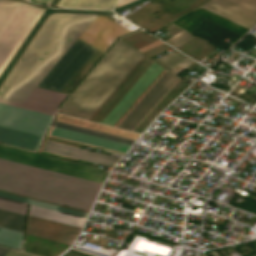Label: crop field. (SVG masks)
<instances>
[{"mask_svg":"<svg viewBox=\"0 0 256 256\" xmlns=\"http://www.w3.org/2000/svg\"><path fill=\"white\" fill-rule=\"evenodd\" d=\"M162 70L153 62L101 123L113 126Z\"/></svg>","mask_w":256,"mask_h":256,"instance_id":"crop-field-11","label":"crop field"},{"mask_svg":"<svg viewBox=\"0 0 256 256\" xmlns=\"http://www.w3.org/2000/svg\"><path fill=\"white\" fill-rule=\"evenodd\" d=\"M53 125L62 127V128H66V129H70V130H74V131H78V132H82V133H86V134H90V135H94V136H98V137H102V138H106V139H110V140H114V141H118V142H122V143H126V144H130V145H132L134 142L133 140H129V139L93 131V130H89V129H85V128H81V127H77V126H73V125H69V124H65V123H61V122H57V121H55Z\"/></svg>","mask_w":256,"mask_h":256,"instance_id":"crop-field-22","label":"crop field"},{"mask_svg":"<svg viewBox=\"0 0 256 256\" xmlns=\"http://www.w3.org/2000/svg\"><path fill=\"white\" fill-rule=\"evenodd\" d=\"M178 79L166 70L117 127L132 131Z\"/></svg>","mask_w":256,"mask_h":256,"instance_id":"crop-field-8","label":"crop field"},{"mask_svg":"<svg viewBox=\"0 0 256 256\" xmlns=\"http://www.w3.org/2000/svg\"><path fill=\"white\" fill-rule=\"evenodd\" d=\"M43 12L41 8L0 0V74Z\"/></svg>","mask_w":256,"mask_h":256,"instance_id":"crop-field-4","label":"crop field"},{"mask_svg":"<svg viewBox=\"0 0 256 256\" xmlns=\"http://www.w3.org/2000/svg\"><path fill=\"white\" fill-rule=\"evenodd\" d=\"M102 184L0 159V189L89 211Z\"/></svg>","mask_w":256,"mask_h":256,"instance_id":"crop-field-2","label":"crop field"},{"mask_svg":"<svg viewBox=\"0 0 256 256\" xmlns=\"http://www.w3.org/2000/svg\"><path fill=\"white\" fill-rule=\"evenodd\" d=\"M23 233L0 227V245L21 250Z\"/></svg>","mask_w":256,"mask_h":256,"instance_id":"crop-field-20","label":"crop field"},{"mask_svg":"<svg viewBox=\"0 0 256 256\" xmlns=\"http://www.w3.org/2000/svg\"><path fill=\"white\" fill-rule=\"evenodd\" d=\"M152 61L148 64V66L140 73V75L132 82V84L125 90V92L117 99V101L109 108V110L101 117L98 121L100 123L102 119L109 113V111L116 105V103L123 97V95L129 90V88L136 82V80L143 74V72L150 66Z\"/></svg>","mask_w":256,"mask_h":256,"instance_id":"crop-field-25","label":"crop field"},{"mask_svg":"<svg viewBox=\"0 0 256 256\" xmlns=\"http://www.w3.org/2000/svg\"><path fill=\"white\" fill-rule=\"evenodd\" d=\"M52 117L0 104V142L37 150Z\"/></svg>","mask_w":256,"mask_h":256,"instance_id":"crop-field-5","label":"crop field"},{"mask_svg":"<svg viewBox=\"0 0 256 256\" xmlns=\"http://www.w3.org/2000/svg\"><path fill=\"white\" fill-rule=\"evenodd\" d=\"M27 204L0 198V209L25 215Z\"/></svg>","mask_w":256,"mask_h":256,"instance_id":"crop-field-23","label":"crop field"},{"mask_svg":"<svg viewBox=\"0 0 256 256\" xmlns=\"http://www.w3.org/2000/svg\"><path fill=\"white\" fill-rule=\"evenodd\" d=\"M0 196L5 197V198H9V199H13V200H17V201H21V202H25V203H28V204H32V205H36V206H40V207H44V208H48V209H52V210H56V211H60V212L80 216V217H84V218H86L87 215H88L86 213H82V212H78V211H74V210H70V209H66V208H62V207H58V206H54V205H50V204L30 200V199H26V198L14 196V195L2 193V192H0Z\"/></svg>","mask_w":256,"mask_h":256,"instance_id":"crop-field-21","label":"crop field"},{"mask_svg":"<svg viewBox=\"0 0 256 256\" xmlns=\"http://www.w3.org/2000/svg\"><path fill=\"white\" fill-rule=\"evenodd\" d=\"M43 151L112 167L118 158L47 141Z\"/></svg>","mask_w":256,"mask_h":256,"instance_id":"crop-field-14","label":"crop field"},{"mask_svg":"<svg viewBox=\"0 0 256 256\" xmlns=\"http://www.w3.org/2000/svg\"><path fill=\"white\" fill-rule=\"evenodd\" d=\"M6 256H31L30 254L10 250Z\"/></svg>","mask_w":256,"mask_h":256,"instance_id":"crop-field-26","label":"crop field"},{"mask_svg":"<svg viewBox=\"0 0 256 256\" xmlns=\"http://www.w3.org/2000/svg\"><path fill=\"white\" fill-rule=\"evenodd\" d=\"M66 94L36 88L22 105L0 100V103L48 114L54 115L58 105L66 97Z\"/></svg>","mask_w":256,"mask_h":256,"instance_id":"crop-field-13","label":"crop field"},{"mask_svg":"<svg viewBox=\"0 0 256 256\" xmlns=\"http://www.w3.org/2000/svg\"><path fill=\"white\" fill-rule=\"evenodd\" d=\"M202 7L248 29L256 23V4L247 0H211Z\"/></svg>","mask_w":256,"mask_h":256,"instance_id":"crop-field-9","label":"crop field"},{"mask_svg":"<svg viewBox=\"0 0 256 256\" xmlns=\"http://www.w3.org/2000/svg\"><path fill=\"white\" fill-rule=\"evenodd\" d=\"M134 1H136V0H119L118 4L116 5V8L126 5L128 3L134 2Z\"/></svg>","mask_w":256,"mask_h":256,"instance_id":"crop-field-27","label":"crop field"},{"mask_svg":"<svg viewBox=\"0 0 256 256\" xmlns=\"http://www.w3.org/2000/svg\"><path fill=\"white\" fill-rule=\"evenodd\" d=\"M32 256H34V255H32Z\"/></svg>","mask_w":256,"mask_h":256,"instance_id":"crop-field-31","label":"crop field"},{"mask_svg":"<svg viewBox=\"0 0 256 256\" xmlns=\"http://www.w3.org/2000/svg\"><path fill=\"white\" fill-rule=\"evenodd\" d=\"M29 215L79 227V228L82 227L83 222L85 220L84 218H80V217H76V216H72V215H68V214H64V213H60V212L32 206V205L30 207Z\"/></svg>","mask_w":256,"mask_h":256,"instance_id":"crop-field-16","label":"crop field"},{"mask_svg":"<svg viewBox=\"0 0 256 256\" xmlns=\"http://www.w3.org/2000/svg\"><path fill=\"white\" fill-rule=\"evenodd\" d=\"M95 51L77 40L39 85L62 91Z\"/></svg>","mask_w":256,"mask_h":256,"instance_id":"crop-field-7","label":"crop field"},{"mask_svg":"<svg viewBox=\"0 0 256 256\" xmlns=\"http://www.w3.org/2000/svg\"><path fill=\"white\" fill-rule=\"evenodd\" d=\"M25 216L0 210V226L23 232Z\"/></svg>","mask_w":256,"mask_h":256,"instance_id":"crop-field-19","label":"crop field"},{"mask_svg":"<svg viewBox=\"0 0 256 256\" xmlns=\"http://www.w3.org/2000/svg\"><path fill=\"white\" fill-rule=\"evenodd\" d=\"M193 36H191L188 32L186 31H181L180 33L176 34L172 38L168 39L167 42L168 44L172 45L173 47H178L179 45L183 44L187 40L191 39Z\"/></svg>","mask_w":256,"mask_h":256,"instance_id":"crop-field-24","label":"crop field"},{"mask_svg":"<svg viewBox=\"0 0 256 256\" xmlns=\"http://www.w3.org/2000/svg\"><path fill=\"white\" fill-rule=\"evenodd\" d=\"M98 15H49L0 87V98L22 104Z\"/></svg>","mask_w":256,"mask_h":256,"instance_id":"crop-field-1","label":"crop field"},{"mask_svg":"<svg viewBox=\"0 0 256 256\" xmlns=\"http://www.w3.org/2000/svg\"><path fill=\"white\" fill-rule=\"evenodd\" d=\"M250 1H252V2L256 3V0H250Z\"/></svg>","mask_w":256,"mask_h":256,"instance_id":"crop-field-30","label":"crop field"},{"mask_svg":"<svg viewBox=\"0 0 256 256\" xmlns=\"http://www.w3.org/2000/svg\"><path fill=\"white\" fill-rule=\"evenodd\" d=\"M154 61L161 64L175 75L193 63V61L175 51L168 53Z\"/></svg>","mask_w":256,"mask_h":256,"instance_id":"crop-field-17","label":"crop field"},{"mask_svg":"<svg viewBox=\"0 0 256 256\" xmlns=\"http://www.w3.org/2000/svg\"><path fill=\"white\" fill-rule=\"evenodd\" d=\"M0 158L102 183L104 170L1 145Z\"/></svg>","mask_w":256,"mask_h":256,"instance_id":"crop-field-6","label":"crop field"},{"mask_svg":"<svg viewBox=\"0 0 256 256\" xmlns=\"http://www.w3.org/2000/svg\"><path fill=\"white\" fill-rule=\"evenodd\" d=\"M117 0H60L57 7L111 9Z\"/></svg>","mask_w":256,"mask_h":256,"instance_id":"crop-field-18","label":"crop field"},{"mask_svg":"<svg viewBox=\"0 0 256 256\" xmlns=\"http://www.w3.org/2000/svg\"><path fill=\"white\" fill-rule=\"evenodd\" d=\"M128 32L108 18L98 16L79 39L104 53L117 37Z\"/></svg>","mask_w":256,"mask_h":256,"instance_id":"crop-field-10","label":"crop field"},{"mask_svg":"<svg viewBox=\"0 0 256 256\" xmlns=\"http://www.w3.org/2000/svg\"><path fill=\"white\" fill-rule=\"evenodd\" d=\"M51 135L72 140V141H77V142L97 146V147H102V148L122 152V153H125L127 149L130 147L129 145L85 135V134H81V133H77V132H73V131H69V130H65L57 127H54Z\"/></svg>","mask_w":256,"mask_h":256,"instance_id":"crop-field-15","label":"crop field"},{"mask_svg":"<svg viewBox=\"0 0 256 256\" xmlns=\"http://www.w3.org/2000/svg\"><path fill=\"white\" fill-rule=\"evenodd\" d=\"M144 56L120 39L58 112L89 120Z\"/></svg>","mask_w":256,"mask_h":256,"instance_id":"crop-field-3","label":"crop field"},{"mask_svg":"<svg viewBox=\"0 0 256 256\" xmlns=\"http://www.w3.org/2000/svg\"><path fill=\"white\" fill-rule=\"evenodd\" d=\"M8 251H9V249H5V248L0 247V256H5Z\"/></svg>","mask_w":256,"mask_h":256,"instance_id":"crop-field-28","label":"crop field"},{"mask_svg":"<svg viewBox=\"0 0 256 256\" xmlns=\"http://www.w3.org/2000/svg\"><path fill=\"white\" fill-rule=\"evenodd\" d=\"M79 231V228L30 216L27 234L71 244Z\"/></svg>","mask_w":256,"mask_h":256,"instance_id":"crop-field-12","label":"crop field"},{"mask_svg":"<svg viewBox=\"0 0 256 256\" xmlns=\"http://www.w3.org/2000/svg\"><path fill=\"white\" fill-rule=\"evenodd\" d=\"M34 1L47 4V3H49L51 0H34Z\"/></svg>","mask_w":256,"mask_h":256,"instance_id":"crop-field-29","label":"crop field"}]
</instances>
